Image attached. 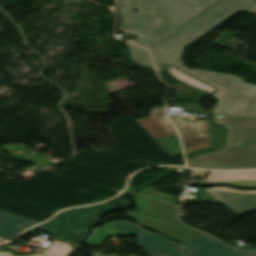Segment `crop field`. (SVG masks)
I'll return each instance as SVG.
<instances>
[{"label": "crop field", "instance_id": "obj_22", "mask_svg": "<svg viewBox=\"0 0 256 256\" xmlns=\"http://www.w3.org/2000/svg\"><path fill=\"white\" fill-rule=\"evenodd\" d=\"M0 256H14V255L10 252H0ZM31 256H38V254L31 255Z\"/></svg>", "mask_w": 256, "mask_h": 256}, {"label": "crop field", "instance_id": "obj_12", "mask_svg": "<svg viewBox=\"0 0 256 256\" xmlns=\"http://www.w3.org/2000/svg\"><path fill=\"white\" fill-rule=\"evenodd\" d=\"M40 222L0 211V238L9 240Z\"/></svg>", "mask_w": 256, "mask_h": 256}, {"label": "crop field", "instance_id": "obj_16", "mask_svg": "<svg viewBox=\"0 0 256 256\" xmlns=\"http://www.w3.org/2000/svg\"><path fill=\"white\" fill-rule=\"evenodd\" d=\"M41 256H69L73 249L71 246L54 241L48 251H42Z\"/></svg>", "mask_w": 256, "mask_h": 256}, {"label": "crop field", "instance_id": "obj_4", "mask_svg": "<svg viewBox=\"0 0 256 256\" xmlns=\"http://www.w3.org/2000/svg\"><path fill=\"white\" fill-rule=\"evenodd\" d=\"M179 69L219 89L213 94L218 103L212 113L256 119V85L227 74L190 70L184 66Z\"/></svg>", "mask_w": 256, "mask_h": 256}, {"label": "crop field", "instance_id": "obj_11", "mask_svg": "<svg viewBox=\"0 0 256 256\" xmlns=\"http://www.w3.org/2000/svg\"><path fill=\"white\" fill-rule=\"evenodd\" d=\"M218 201L224 203L236 214L245 210H256V194L232 193L226 191L206 190Z\"/></svg>", "mask_w": 256, "mask_h": 256}, {"label": "crop field", "instance_id": "obj_10", "mask_svg": "<svg viewBox=\"0 0 256 256\" xmlns=\"http://www.w3.org/2000/svg\"><path fill=\"white\" fill-rule=\"evenodd\" d=\"M184 246L191 256H256V252L233 249L205 234Z\"/></svg>", "mask_w": 256, "mask_h": 256}, {"label": "crop field", "instance_id": "obj_13", "mask_svg": "<svg viewBox=\"0 0 256 256\" xmlns=\"http://www.w3.org/2000/svg\"><path fill=\"white\" fill-rule=\"evenodd\" d=\"M256 171L251 172H210L206 181L252 180Z\"/></svg>", "mask_w": 256, "mask_h": 256}, {"label": "crop field", "instance_id": "obj_9", "mask_svg": "<svg viewBox=\"0 0 256 256\" xmlns=\"http://www.w3.org/2000/svg\"><path fill=\"white\" fill-rule=\"evenodd\" d=\"M159 120H164V122L161 123ZM137 121L161 145L171 159L182 154L179 137L173 124L165 116L164 108H152L151 118Z\"/></svg>", "mask_w": 256, "mask_h": 256}, {"label": "crop field", "instance_id": "obj_14", "mask_svg": "<svg viewBox=\"0 0 256 256\" xmlns=\"http://www.w3.org/2000/svg\"><path fill=\"white\" fill-rule=\"evenodd\" d=\"M128 48L131 52V55L135 64L155 71L150 59V55L147 50L141 49L129 43H128Z\"/></svg>", "mask_w": 256, "mask_h": 256}, {"label": "crop field", "instance_id": "obj_19", "mask_svg": "<svg viewBox=\"0 0 256 256\" xmlns=\"http://www.w3.org/2000/svg\"><path fill=\"white\" fill-rule=\"evenodd\" d=\"M207 189L227 190V191L243 192V193H256V190L255 191H238V190L227 188V187H217V188H207Z\"/></svg>", "mask_w": 256, "mask_h": 256}, {"label": "crop field", "instance_id": "obj_5", "mask_svg": "<svg viewBox=\"0 0 256 256\" xmlns=\"http://www.w3.org/2000/svg\"><path fill=\"white\" fill-rule=\"evenodd\" d=\"M135 206L140 212L125 213L142 227L182 244L200 236L203 232L187 228L176 217L177 207H173L135 194Z\"/></svg>", "mask_w": 256, "mask_h": 256}, {"label": "crop field", "instance_id": "obj_20", "mask_svg": "<svg viewBox=\"0 0 256 256\" xmlns=\"http://www.w3.org/2000/svg\"><path fill=\"white\" fill-rule=\"evenodd\" d=\"M51 238L55 239V240H60V241L66 242V243H71V244L75 243V241H73V240H69V239H65V238H61V237H57V236H53V235H51Z\"/></svg>", "mask_w": 256, "mask_h": 256}, {"label": "crop field", "instance_id": "obj_1", "mask_svg": "<svg viewBox=\"0 0 256 256\" xmlns=\"http://www.w3.org/2000/svg\"><path fill=\"white\" fill-rule=\"evenodd\" d=\"M217 0H118V16L123 23L119 32L134 29L139 41L133 44L149 48ZM134 10H139L134 13Z\"/></svg>", "mask_w": 256, "mask_h": 256}, {"label": "crop field", "instance_id": "obj_15", "mask_svg": "<svg viewBox=\"0 0 256 256\" xmlns=\"http://www.w3.org/2000/svg\"><path fill=\"white\" fill-rule=\"evenodd\" d=\"M168 71L174 77H176V78H178V79H180V80H182V81H184V82H186V83H188L192 86H195V87H197V88H199V89H201V90H203V91H205L209 94H211L213 91H215V89H213V88H211V87H209V86H207V85H205V84H203V83H201V82H199V81H197V80H195V79H193V78H191V77H189V76H187V75H185L181 72H179L176 68L169 69Z\"/></svg>", "mask_w": 256, "mask_h": 256}, {"label": "crop field", "instance_id": "obj_7", "mask_svg": "<svg viewBox=\"0 0 256 256\" xmlns=\"http://www.w3.org/2000/svg\"><path fill=\"white\" fill-rule=\"evenodd\" d=\"M113 207L116 206L104 203L91 207L66 210L48 223L35 227L34 229L76 240L83 234V227L98 220V213L100 211Z\"/></svg>", "mask_w": 256, "mask_h": 256}, {"label": "crop field", "instance_id": "obj_17", "mask_svg": "<svg viewBox=\"0 0 256 256\" xmlns=\"http://www.w3.org/2000/svg\"><path fill=\"white\" fill-rule=\"evenodd\" d=\"M140 195H144L150 198H154L160 201H164L170 204H174L175 205V201H174V196L173 195H169V194H165L163 192H159V191H155L152 189V187H148L147 189L137 193Z\"/></svg>", "mask_w": 256, "mask_h": 256}, {"label": "crop field", "instance_id": "obj_3", "mask_svg": "<svg viewBox=\"0 0 256 256\" xmlns=\"http://www.w3.org/2000/svg\"><path fill=\"white\" fill-rule=\"evenodd\" d=\"M256 0H220L184 27L168 36L152 50L155 61L182 66V51L239 11H246Z\"/></svg>", "mask_w": 256, "mask_h": 256}, {"label": "crop field", "instance_id": "obj_21", "mask_svg": "<svg viewBox=\"0 0 256 256\" xmlns=\"http://www.w3.org/2000/svg\"><path fill=\"white\" fill-rule=\"evenodd\" d=\"M156 65L158 70L173 68V66H170V65H161V64H156Z\"/></svg>", "mask_w": 256, "mask_h": 256}, {"label": "crop field", "instance_id": "obj_23", "mask_svg": "<svg viewBox=\"0 0 256 256\" xmlns=\"http://www.w3.org/2000/svg\"><path fill=\"white\" fill-rule=\"evenodd\" d=\"M247 12H250L256 15V3L250 9H248Z\"/></svg>", "mask_w": 256, "mask_h": 256}, {"label": "crop field", "instance_id": "obj_18", "mask_svg": "<svg viewBox=\"0 0 256 256\" xmlns=\"http://www.w3.org/2000/svg\"><path fill=\"white\" fill-rule=\"evenodd\" d=\"M205 183H207V182H205ZM225 183H232V184L247 186V185H256V180H252V181H225Z\"/></svg>", "mask_w": 256, "mask_h": 256}, {"label": "crop field", "instance_id": "obj_8", "mask_svg": "<svg viewBox=\"0 0 256 256\" xmlns=\"http://www.w3.org/2000/svg\"><path fill=\"white\" fill-rule=\"evenodd\" d=\"M183 139L186 156L222 146V132L209 122L186 123L183 116L169 115Z\"/></svg>", "mask_w": 256, "mask_h": 256}, {"label": "crop field", "instance_id": "obj_6", "mask_svg": "<svg viewBox=\"0 0 256 256\" xmlns=\"http://www.w3.org/2000/svg\"><path fill=\"white\" fill-rule=\"evenodd\" d=\"M129 234L139 236L137 238L138 246L145 250L150 256H189L183 245L147 231L138 225L124 221H113L104 224L84 243V245L97 247L102 245L103 239L108 235ZM93 253L94 256H110Z\"/></svg>", "mask_w": 256, "mask_h": 256}, {"label": "crop field", "instance_id": "obj_2", "mask_svg": "<svg viewBox=\"0 0 256 256\" xmlns=\"http://www.w3.org/2000/svg\"><path fill=\"white\" fill-rule=\"evenodd\" d=\"M213 121L227 128L225 147L187 159V167L219 170L256 168V120L213 114Z\"/></svg>", "mask_w": 256, "mask_h": 256}]
</instances>
